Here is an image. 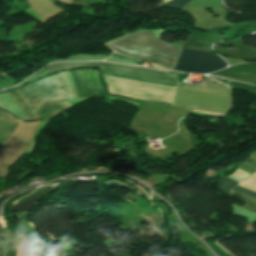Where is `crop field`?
I'll return each mask as SVG.
<instances>
[{"label":"crop field","mask_w":256,"mask_h":256,"mask_svg":"<svg viewBox=\"0 0 256 256\" xmlns=\"http://www.w3.org/2000/svg\"><path fill=\"white\" fill-rule=\"evenodd\" d=\"M9 94L27 116L45 102L74 97L66 72L43 78Z\"/></svg>","instance_id":"34b2d1b8"},{"label":"crop field","mask_w":256,"mask_h":256,"mask_svg":"<svg viewBox=\"0 0 256 256\" xmlns=\"http://www.w3.org/2000/svg\"><path fill=\"white\" fill-rule=\"evenodd\" d=\"M106 97H108V98H109V99H111V100H122V101H127V102L132 103V104L137 105V106H140V105H141V103H140V102L133 101V100L119 99V98H114V97H110V96H106Z\"/></svg>","instance_id":"28ad6ade"},{"label":"crop field","mask_w":256,"mask_h":256,"mask_svg":"<svg viewBox=\"0 0 256 256\" xmlns=\"http://www.w3.org/2000/svg\"><path fill=\"white\" fill-rule=\"evenodd\" d=\"M25 13L29 14L30 16L36 18L38 21L42 22V21L37 17V15L32 11V9H31L30 7L25 11ZM42 23H43V22H42Z\"/></svg>","instance_id":"d1516ede"},{"label":"crop field","mask_w":256,"mask_h":256,"mask_svg":"<svg viewBox=\"0 0 256 256\" xmlns=\"http://www.w3.org/2000/svg\"><path fill=\"white\" fill-rule=\"evenodd\" d=\"M232 191L240 192V193H243V194H246V195H249V196H252V197L256 198V193L248 191L246 189H243L239 186H236Z\"/></svg>","instance_id":"3316defc"},{"label":"crop field","mask_w":256,"mask_h":256,"mask_svg":"<svg viewBox=\"0 0 256 256\" xmlns=\"http://www.w3.org/2000/svg\"><path fill=\"white\" fill-rule=\"evenodd\" d=\"M190 0H172L163 5V7L175 8V9H182L184 5H186Z\"/></svg>","instance_id":"e52e79f7"},{"label":"crop field","mask_w":256,"mask_h":256,"mask_svg":"<svg viewBox=\"0 0 256 256\" xmlns=\"http://www.w3.org/2000/svg\"><path fill=\"white\" fill-rule=\"evenodd\" d=\"M114 51L150 62L152 66L162 69H174L182 52V43L168 44L149 32H138L106 44Z\"/></svg>","instance_id":"ac0d7876"},{"label":"crop field","mask_w":256,"mask_h":256,"mask_svg":"<svg viewBox=\"0 0 256 256\" xmlns=\"http://www.w3.org/2000/svg\"><path fill=\"white\" fill-rule=\"evenodd\" d=\"M18 124L19 121L0 111V151Z\"/></svg>","instance_id":"dd49c442"},{"label":"crop field","mask_w":256,"mask_h":256,"mask_svg":"<svg viewBox=\"0 0 256 256\" xmlns=\"http://www.w3.org/2000/svg\"><path fill=\"white\" fill-rule=\"evenodd\" d=\"M68 103L58 102L52 104H44L33 118L26 119V121H36L40 119H46L58 115L59 113L71 108Z\"/></svg>","instance_id":"f4fd0767"},{"label":"crop field","mask_w":256,"mask_h":256,"mask_svg":"<svg viewBox=\"0 0 256 256\" xmlns=\"http://www.w3.org/2000/svg\"><path fill=\"white\" fill-rule=\"evenodd\" d=\"M5 241H6L5 234L0 227V256H3Z\"/></svg>","instance_id":"5a996713"},{"label":"crop field","mask_w":256,"mask_h":256,"mask_svg":"<svg viewBox=\"0 0 256 256\" xmlns=\"http://www.w3.org/2000/svg\"><path fill=\"white\" fill-rule=\"evenodd\" d=\"M226 62L216 54L184 50L175 69L192 73H209L225 68Z\"/></svg>","instance_id":"412701ff"},{"label":"crop field","mask_w":256,"mask_h":256,"mask_svg":"<svg viewBox=\"0 0 256 256\" xmlns=\"http://www.w3.org/2000/svg\"><path fill=\"white\" fill-rule=\"evenodd\" d=\"M84 0H74L72 4H83Z\"/></svg>","instance_id":"22f410ed"},{"label":"crop field","mask_w":256,"mask_h":256,"mask_svg":"<svg viewBox=\"0 0 256 256\" xmlns=\"http://www.w3.org/2000/svg\"><path fill=\"white\" fill-rule=\"evenodd\" d=\"M238 182H235V181H232L228 178H223L219 184V187L220 189H223V190H226V191H230L232 188L235 187V185L237 184Z\"/></svg>","instance_id":"d8731c3e"},{"label":"crop field","mask_w":256,"mask_h":256,"mask_svg":"<svg viewBox=\"0 0 256 256\" xmlns=\"http://www.w3.org/2000/svg\"><path fill=\"white\" fill-rule=\"evenodd\" d=\"M80 66L101 67L109 94L153 103H162L172 81L179 82L176 76L170 72L102 62L55 64L48 69L53 73ZM191 113L198 116H215L194 111Z\"/></svg>","instance_id":"8a807250"}]
</instances>
